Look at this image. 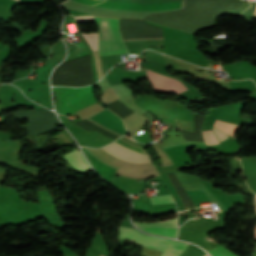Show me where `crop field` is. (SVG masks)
<instances>
[{"mask_svg": "<svg viewBox=\"0 0 256 256\" xmlns=\"http://www.w3.org/2000/svg\"><path fill=\"white\" fill-rule=\"evenodd\" d=\"M102 148L105 151H107L109 154H111L119 159L126 160L128 162H134V163L152 162L146 152L128 149V148L118 145L116 143H111ZM119 159H117L115 161V163L122 165L121 168L117 172V174H119V175L131 177V178H148V177L159 176L153 163L133 164V163H127V162L119 160Z\"/></svg>", "mask_w": 256, "mask_h": 256, "instance_id": "crop-field-1", "label": "crop field"}, {"mask_svg": "<svg viewBox=\"0 0 256 256\" xmlns=\"http://www.w3.org/2000/svg\"><path fill=\"white\" fill-rule=\"evenodd\" d=\"M119 241H130L138 245L163 251L160 256H180L188 243L146 236L133 228L119 226Z\"/></svg>", "mask_w": 256, "mask_h": 256, "instance_id": "crop-field-2", "label": "crop field"}, {"mask_svg": "<svg viewBox=\"0 0 256 256\" xmlns=\"http://www.w3.org/2000/svg\"><path fill=\"white\" fill-rule=\"evenodd\" d=\"M57 112L68 115L97 102L93 85L85 88H54Z\"/></svg>", "mask_w": 256, "mask_h": 256, "instance_id": "crop-field-3", "label": "crop field"}, {"mask_svg": "<svg viewBox=\"0 0 256 256\" xmlns=\"http://www.w3.org/2000/svg\"><path fill=\"white\" fill-rule=\"evenodd\" d=\"M94 17L99 31L100 55L127 52L120 36L118 19Z\"/></svg>", "mask_w": 256, "mask_h": 256, "instance_id": "crop-field-4", "label": "crop field"}, {"mask_svg": "<svg viewBox=\"0 0 256 256\" xmlns=\"http://www.w3.org/2000/svg\"><path fill=\"white\" fill-rule=\"evenodd\" d=\"M13 114L18 120L28 119L30 121L22 126L28 135L61 125L56 115L47 110L18 111Z\"/></svg>", "mask_w": 256, "mask_h": 256, "instance_id": "crop-field-5", "label": "crop field"}, {"mask_svg": "<svg viewBox=\"0 0 256 256\" xmlns=\"http://www.w3.org/2000/svg\"><path fill=\"white\" fill-rule=\"evenodd\" d=\"M97 7H108L127 10H165L183 7V1L166 3H128L107 0H71Z\"/></svg>", "mask_w": 256, "mask_h": 256, "instance_id": "crop-field-6", "label": "crop field"}, {"mask_svg": "<svg viewBox=\"0 0 256 256\" xmlns=\"http://www.w3.org/2000/svg\"><path fill=\"white\" fill-rule=\"evenodd\" d=\"M119 23L123 40L163 38L162 29L144 21L119 19Z\"/></svg>", "mask_w": 256, "mask_h": 256, "instance_id": "crop-field-7", "label": "crop field"}, {"mask_svg": "<svg viewBox=\"0 0 256 256\" xmlns=\"http://www.w3.org/2000/svg\"><path fill=\"white\" fill-rule=\"evenodd\" d=\"M146 72L155 90L172 92L176 94L186 90V87L182 83L171 77L153 73L149 70H146Z\"/></svg>", "mask_w": 256, "mask_h": 256, "instance_id": "crop-field-8", "label": "crop field"}, {"mask_svg": "<svg viewBox=\"0 0 256 256\" xmlns=\"http://www.w3.org/2000/svg\"><path fill=\"white\" fill-rule=\"evenodd\" d=\"M123 121L125 123L128 133L149 122L145 117L136 112L130 117L124 119Z\"/></svg>", "mask_w": 256, "mask_h": 256, "instance_id": "crop-field-9", "label": "crop field"}, {"mask_svg": "<svg viewBox=\"0 0 256 256\" xmlns=\"http://www.w3.org/2000/svg\"><path fill=\"white\" fill-rule=\"evenodd\" d=\"M70 161L71 163L78 169L86 172L87 170H89L91 167L88 165V163L85 161L82 153L78 152V151H73L67 155H65Z\"/></svg>", "mask_w": 256, "mask_h": 256, "instance_id": "crop-field-10", "label": "crop field"}, {"mask_svg": "<svg viewBox=\"0 0 256 256\" xmlns=\"http://www.w3.org/2000/svg\"><path fill=\"white\" fill-rule=\"evenodd\" d=\"M145 232L175 238L177 229L166 227L139 228Z\"/></svg>", "mask_w": 256, "mask_h": 256, "instance_id": "crop-field-11", "label": "crop field"}, {"mask_svg": "<svg viewBox=\"0 0 256 256\" xmlns=\"http://www.w3.org/2000/svg\"><path fill=\"white\" fill-rule=\"evenodd\" d=\"M137 227H150V226H166L177 228V218L161 221L157 223H142V222H133Z\"/></svg>", "mask_w": 256, "mask_h": 256, "instance_id": "crop-field-12", "label": "crop field"}, {"mask_svg": "<svg viewBox=\"0 0 256 256\" xmlns=\"http://www.w3.org/2000/svg\"><path fill=\"white\" fill-rule=\"evenodd\" d=\"M153 149L155 150L158 159L160 160L162 166L173 164L169 156L164 152V150L158 145H154Z\"/></svg>", "mask_w": 256, "mask_h": 256, "instance_id": "crop-field-13", "label": "crop field"}, {"mask_svg": "<svg viewBox=\"0 0 256 256\" xmlns=\"http://www.w3.org/2000/svg\"><path fill=\"white\" fill-rule=\"evenodd\" d=\"M102 102L104 105L120 99L119 96L111 88L102 90Z\"/></svg>", "mask_w": 256, "mask_h": 256, "instance_id": "crop-field-14", "label": "crop field"}, {"mask_svg": "<svg viewBox=\"0 0 256 256\" xmlns=\"http://www.w3.org/2000/svg\"><path fill=\"white\" fill-rule=\"evenodd\" d=\"M211 256H236L234 253L229 251L228 249L218 245L213 249L207 251Z\"/></svg>", "mask_w": 256, "mask_h": 256, "instance_id": "crop-field-15", "label": "crop field"}, {"mask_svg": "<svg viewBox=\"0 0 256 256\" xmlns=\"http://www.w3.org/2000/svg\"><path fill=\"white\" fill-rule=\"evenodd\" d=\"M88 44L90 45L92 51L98 50L97 40H98V32L94 33H82Z\"/></svg>", "mask_w": 256, "mask_h": 256, "instance_id": "crop-field-16", "label": "crop field"}, {"mask_svg": "<svg viewBox=\"0 0 256 256\" xmlns=\"http://www.w3.org/2000/svg\"><path fill=\"white\" fill-rule=\"evenodd\" d=\"M153 204L174 203L170 194L150 198Z\"/></svg>", "mask_w": 256, "mask_h": 256, "instance_id": "crop-field-17", "label": "crop field"}, {"mask_svg": "<svg viewBox=\"0 0 256 256\" xmlns=\"http://www.w3.org/2000/svg\"><path fill=\"white\" fill-rule=\"evenodd\" d=\"M94 53V57H95V64H96V69L98 72V76L99 78H101L103 76L102 72H101V65H100V56H99V52H93Z\"/></svg>", "mask_w": 256, "mask_h": 256, "instance_id": "crop-field-18", "label": "crop field"}, {"mask_svg": "<svg viewBox=\"0 0 256 256\" xmlns=\"http://www.w3.org/2000/svg\"><path fill=\"white\" fill-rule=\"evenodd\" d=\"M76 22H93V16H77L74 17Z\"/></svg>", "mask_w": 256, "mask_h": 256, "instance_id": "crop-field-19", "label": "crop field"}, {"mask_svg": "<svg viewBox=\"0 0 256 256\" xmlns=\"http://www.w3.org/2000/svg\"><path fill=\"white\" fill-rule=\"evenodd\" d=\"M212 130L215 133V135L217 136V138L219 139V141H223V140L227 139V136H228L227 134L222 133L215 127H212Z\"/></svg>", "mask_w": 256, "mask_h": 256, "instance_id": "crop-field-20", "label": "crop field"}, {"mask_svg": "<svg viewBox=\"0 0 256 256\" xmlns=\"http://www.w3.org/2000/svg\"><path fill=\"white\" fill-rule=\"evenodd\" d=\"M102 256V255H101Z\"/></svg>", "mask_w": 256, "mask_h": 256, "instance_id": "crop-field-21", "label": "crop field"}]
</instances>
